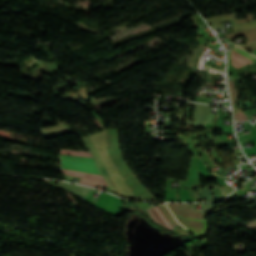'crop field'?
I'll list each match as a JSON object with an SVG mask.
<instances>
[{
	"label": "crop field",
	"mask_w": 256,
	"mask_h": 256,
	"mask_svg": "<svg viewBox=\"0 0 256 256\" xmlns=\"http://www.w3.org/2000/svg\"><path fill=\"white\" fill-rule=\"evenodd\" d=\"M180 224L190 230L198 239L205 235L207 230V213L188 209L189 204H167ZM207 234V233H206Z\"/></svg>",
	"instance_id": "8a807250"
},
{
	"label": "crop field",
	"mask_w": 256,
	"mask_h": 256,
	"mask_svg": "<svg viewBox=\"0 0 256 256\" xmlns=\"http://www.w3.org/2000/svg\"><path fill=\"white\" fill-rule=\"evenodd\" d=\"M60 157L63 168L101 175L93 159L65 155Z\"/></svg>",
	"instance_id": "ac0d7876"
},
{
	"label": "crop field",
	"mask_w": 256,
	"mask_h": 256,
	"mask_svg": "<svg viewBox=\"0 0 256 256\" xmlns=\"http://www.w3.org/2000/svg\"><path fill=\"white\" fill-rule=\"evenodd\" d=\"M235 120H247V117L243 112L234 113Z\"/></svg>",
	"instance_id": "5a996713"
},
{
	"label": "crop field",
	"mask_w": 256,
	"mask_h": 256,
	"mask_svg": "<svg viewBox=\"0 0 256 256\" xmlns=\"http://www.w3.org/2000/svg\"><path fill=\"white\" fill-rule=\"evenodd\" d=\"M63 171L65 173L103 179L102 176H98V175L86 174V173H81V172H76V171H71V170H63ZM70 174H67V175H70ZM75 175H72V176H75ZM80 176H78V177H80ZM79 183L84 184V185H88V186H92V187H94L96 184L108 187L107 184L105 183V181L97 180V179H91V178H85V177H82L81 180L79 181Z\"/></svg>",
	"instance_id": "f4fd0767"
},
{
	"label": "crop field",
	"mask_w": 256,
	"mask_h": 256,
	"mask_svg": "<svg viewBox=\"0 0 256 256\" xmlns=\"http://www.w3.org/2000/svg\"><path fill=\"white\" fill-rule=\"evenodd\" d=\"M231 55H232V64L237 68L245 64L252 63L253 60H256L255 57L237 48L236 46L231 50Z\"/></svg>",
	"instance_id": "412701ff"
},
{
	"label": "crop field",
	"mask_w": 256,
	"mask_h": 256,
	"mask_svg": "<svg viewBox=\"0 0 256 256\" xmlns=\"http://www.w3.org/2000/svg\"><path fill=\"white\" fill-rule=\"evenodd\" d=\"M234 111H237V90H233V81H229Z\"/></svg>",
	"instance_id": "d8731c3e"
},
{
	"label": "crop field",
	"mask_w": 256,
	"mask_h": 256,
	"mask_svg": "<svg viewBox=\"0 0 256 256\" xmlns=\"http://www.w3.org/2000/svg\"><path fill=\"white\" fill-rule=\"evenodd\" d=\"M61 154L92 157L90 152L61 149Z\"/></svg>",
	"instance_id": "e52e79f7"
},
{
	"label": "crop field",
	"mask_w": 256,
	"mask_h": 256,
	"mask_svg": "<svg viewBox=\"0 0 256 256\" xmlns=\"http://www.w3.org/2000/svg\"><path fill=\"white\" fill-rule=\"evenodd\" d=\"M148 211L157 223L165 227L172 229L174 224H178L165 205L150 208Z\"/></svg>",
	"instance_id": "34b2d1b8"
},
{
	"label": "crop field",
	"mask_w": 256,
	"mask_h": 256,
	"mask_svg": "<svg viewBox=\"0 0 256 256\" xmlns=\"http://www.w3.org/2000/svg\"><path fill=\"white\" fill-rule=\"evenodd\" d=\"M57 187L62 188L64 190L72 191L87 199H89L91 193L93 192L92 189H88V188H84V187H80V186H76L68 183H62V182H59Z\"/></svg>",
	"instance_id": "dd49c442"
}]
</instances>
